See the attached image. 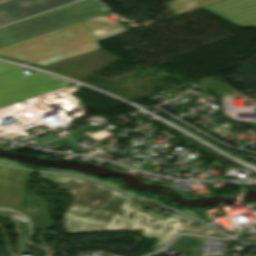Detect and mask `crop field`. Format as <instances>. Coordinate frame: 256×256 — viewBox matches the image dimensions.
I'll use <instances>...</instances> for the list:
<instances>
[{"mask_svg":"<svg viewBox=\"0 0 256 256\" xmlns=\"http://www.w3.org/2000/svg\"><path fill=\"white\" fill-rule=\"evenodd\" d=\"M40 176L75 196L60 220L67 234L131 230L141 233L144 238L159 239L152 250L161 247L182 230L225 237L208 226L178 214H171L167 220H158L130 207L133 201L131 197L92 181L61 174L40 173Z\"/></svg>","mask_w":256,"mask_h":256,"instance_id":"1","label":"crop field"},{"mask_svg":"<svg viewBox=\"0 0 256 256\" xmlns=\"http://www.w3.org/2000/svg\"><path fill=\"white\" fill-rule=\"evenodd\" d=\"M0 57L79 80L120 59L101 50L82 21L0 48Z\"/></svg>","mask_w":256,"mask_h":256,"instance_id":"2","label":"crop field"},{"mask_svg":"<svg viewBox=\"0 0 256 256\" xmlns=\"http://www.w3.org/2000/svg\"><path fill=\"white\" fill-rule=\"evenodd\" d=\"M109 12L96 0H85L3 28L1 32L10 42L17 41Z\"/></svg>","mask_w":256,"mask_h":256,"instance_id":"3","label":"crop field"},{"mask_svg":"<svg viewBox=\"0 0 256 256\" xmlns=\"http://www.w3.org/2000/svg\"><path fill=\"white\" fill-rule=\"evenodd\" d=\"M27 177V171L0 167V207L28 216L32 227L36 224L37 227L51 228L53 223L43 198L38 207L39 197L28 192L26 210L23 211ZM33 198H35L34 206H32Z\"/></svg>","mask_w":256,"mask_h":256,"instance_id":"4","label":"crop field"},{"mask_svg":"<svg viewBox=\"0 0 256 256\" xmlns=\"http://www.w3.org/2000/svg\"><path fill=\"white\" fill-rule=\"evenodd\" d=\"M71 82L34 71L26 76L21 69L0 75V107L24 100Z\"/></svg>","mask_w":256,"mask_h":256,"instance_id":"5","label":"crop field"},{"mask_svg":"<svg viewBox=\"0 0 256 256\" xmlns=\"http://www.w3.org/2000/svg\"><path fill=\"white\" fill-rule=\"evenodd\" d=\"M78 0H0V26Z\"/></svg>","mask_w":256,"mask_h":256,"instance_id":"6","label":"crop field"},{"mask_svg":"<svg viewBox=\"0 0 256 256\" xmlns=\"http://www.w3.org/2000/svg\"><path fill=\"white\" fill-rule=\"evenodd\" d=\"M203 9L239 27L256 26V0H225Z\"/></svg>","mask_w":256,"mask_h":256,"instance_id":"7","label":"crop field"},{"mask_svg":"<svg viewBox=\"0 0 256 256\" xmlns=\"http://www.w3.org/2000/svg\"><path fill=\"white\" fill-rule=\"evenodd\" d=\"M83 22L93 34L96 41H101L128 31L120 24L111 21L103 15L84 20Z\"/></svg>","mask_w":256,"mask_h":256,"instance_id":"8","label":"crop field"},{"mask_svg":"<svg viewBox=\"0 0 256 256\" xmlns=\"http://www.w3.org/2000/svg\"><path fill=\"white\" fill-rule=\"evenodd\" d=\"M219 1L222 0H173L171 1V8L177 15H180Z\"/></svg>","mask_w":256,"mask_h":256,"instance_id":"9","label":"crop field"},{"mask_svg":"<svg viewBox=\"0 0 256 256\" xmlns=\"http://www.w3.org/2000/svg\"><path fill=\"white\" fill-rule=\"evenodd\" d=\"M17 68L19 67L0 62V74Z\"/></svg>","mask_w":256,"mask_h":256,"instance_id":"10","label":"crop field"},{"mask_svg":"<svg viewBox=\"0 0 256 256\" xmlns=\"http://www.w3.org/2000/svg\"><path fill=\"white\" fill-rule=\"evenodd\" d=\"M57 142H59L60 144H64V145H66L69 148H71V147L76 145V144L72 143V141L68 140L67 138H63V139L57 140Z\"/></svg>","mask_w":256,"mask_h":256,"instance_id":"11","label":"crop field"},{"mask_svg":"<svg viewBox=\"0 0 256 256\" xmlns=\"http://www.w3.org/2000/svg\"><path fill=\"white\" fill-rule=\"evenodd\" d=\"M9 45L8 41L5 39V37L0 32V47Z\"/></svg>","mask_w":256,"mask_h":256,"instance_id":"12","label":"crop field"},{"mask_svg":"<svg viewBox=\"0 0 256 256\" xmlns=\"http://www.w3.org/2000/svg\"><path fill=\"white\" fill-rule=\"evenodd\" d=\"M69 138H71L72 140L76 141L78 139H82L83 137H81L80 135H72Z\"/></svg>","mask_w":256,"mask_h":256,"instance_id":"13","label":"crop field"},{"mask_svg":"<svg viewBox=\"0 0 256 256\" xmlns=\"http://www.w3.org/2000/svg\"><path fill=\"white\" fill-rule=\"evenodd\" d=\"M3 146V144H0V147H2Z\"/></svg>","mask_w":256,"mask_h":256,"instance_id":"14","label":"crop field"}]
</instances>
